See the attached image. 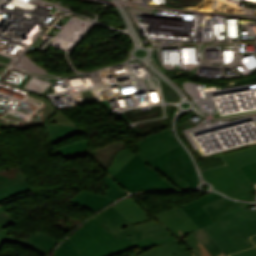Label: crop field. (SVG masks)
Masks as SVG:
<instances>
[{"instance_id": "crop-field-27", "label": "crop field", "mask_w": 256, "mask_h": 256, "mask_svg": "<svg viewBox=\"0 0 256 256\" xmlns=\"http://www.w3.org/2000/svg\"><path fill=\"white\" fill-rule=\"evenodd\" d=\"M241 169L252 184L256 183V163L246 165L241 167Z\"/></svg>"}, {"instance_id": "crop-field-15", "label": "crop field", "mask_w": 256, "mask_h": 256, "mask_svg": "<svg viewBox=\"0 0 256 256\" xmlns=\"http://www.w3.org/2000/svg\"><path fill=\"white\" fill-rule=\"evenodd\" d=\"M148 236H150L152 240L155 241L168 236H172V234L166 229V227L160 224H155L137 231L132 236H130V238L133 242H135Z\"/></svg>"}, {"instance_id": "crop-field-13", "label": "crop field", "mask_w": 256, "mask_h": 256, "mask_svg": "<svg viewBox=\"0 0 256 256\" xmlns=\"http://www.w3.org/2000/svg\"><path fill=\"white\" fill-rule=\"evenodd\" d=\"M113 201V199L81 191L70 202L95 212Z\"/></svg>"}, {"instance_id": "crop-field-14", "label": "crop field", "mask_w": 256, "mask_h": 256, "mask_svg": "<svg viewBox=\"0 0 256 256\" xmlns=\"http://www.w3.org/2000/svg\"><path fill=\"white\" fill-rule=\"evenodd\" d=\"M138 256H193L188 249L177 240L154 247Z\"/></svg>"}, {"instance_id": "crop-field-29", "label": "crop field", "mask_w": 256, "mask_h": 256, "mask_svg": "<svg viewBox=\"0 0 256 256\" xmlns=\"http://www.w3.org/2000/svg\"><path fill=\"white\" fill-rule=\"evenodd\" d=\"M255 240H256V236H254ZM230 256H256V249L255 248H251Z\"/></svg>"}, {"instance_id": "crop-field-10", "label": "crop field", "mask_w": 256, "mask_h": 256, "mask_svg": "<svg viewBox=\"0 0 256 256\" xmlns=\"http://www.w3.org/2000/svg\"><path fill=\"white\" fill-rule=\"evenodd\" d=\"M223 158L226 160L228 168L233 172L248 192L251 193L255 191L256 189L249 182L239 167L256 162V147L223 155Z\"/></svg>"}, {"instance_id": "crop-field-7", "label": "crop field", "mask_w": 256, "mask_h": 256, "mask_svg": "<svg viewBox=\"0 0 256 256\" xmlns=\"http://www.w3.org/2000/svg\"><path fill=\"white\" fill-rule=\"evenodd\" d=\"M29 191L20 166L0 170V201Z\"/></svg>"}, {"instance_id": "crop-field-11", "label": "crop field", "mask_w": 256, "mask_h": 256, "mask_svg": "<svg viewBox=\"0 0 256 256\" xmlns=\"http://www.w3.org/2000/svg\"><path fill=\"white\" fill-rule=\"evenodd\" d=\"M116 208L137 230L157 223L131 197L112 205Z\"/></svg>"}, {"instance_id": "crop-field-8", "label": "crop field", "mask_w": 256, "mask_h": 256, "mask_svg": "<svg viewBox=\"0 0 256 256\" xmlns=\"http://www.w3.org/2000/svg\"><path fill=\"white\" fill-rule=\"evenodd\" d=\"M152 216L157 221L165 224L180 239L185 238L188 233L198 229L196 224L181 208H175L152 214Z\"/></svg>"}, {"instance_id": "crop-field-28", "label": "crop field", "mask_w": 256, "mask_h": 256, "mask_svg": "<svg viewBox=\"0 0 256 256\" xmlns=\"http://www.w3.org/2000/svg\"><path fill=\"white\" fill-rule=\"evenodd\" d=\"M230 240L233 242L238 251L250 248L249 244L245 241L241 234L230 237Z\"/></svg>"}, {"instance_id": "crop-field-21", "label": "crop field", "mask_w": 256, "mask_h": 256, "mask_svg": "<svg viewBox=\"0 0 256 256\" xmlns=\"http://www.w3.org/2000/svg\"><path fill=\"white\" fill-rule=\"evenodd\" d=\"M106 193L103 196L118 199L127 194L110 176L105 177Z\"/></svg>"}, {"instance_id": "crop-field-16", "label": "crop field", "mask_w": 256, "mask_h": 256, "mask_svg": "<svg viewBox=\"0 0 256 256\" xmlns=\"http://www.w3.org/2000/svg\"><path fill=\"white\" fill-rule=\"evenodd\" d=\"M45 126L49 133L51 144L61 141L73 134L83 133L82 129L72 128V127L63 126V125L48 124Z\"/></svg>"}, {"instance_id": "crop-field-23", "label": "crop field", "mask_w": 256, "mask_h": 256, "mask_svg": "<svg viewBox=\"0 0 256 256\" xmlns=\"http://www.w3.org/2000/svg\"><path fill=\"white\" fill-rule=\"evenodd\" d=\"M69 238L57 249L53 256H81Z\"/></svg>"}, {"instance_id": "crop-field-18", "label": "crop field", "mask_w": 256, "mask_h": 256, "mask_svg": "<svg viewBox=\"0 0 256 256\" xmlns=\"http://www.w3.org/2000/svg\"><path fill=\"white\" fill-rule=\"evenodd\" d=\"M11 230H13V229H11L9 227L1 230L0 231V239H2L5 242H13L15 244L21 245V246L26 247L34 252L41 254L43 256H47L48 253L50 252L49 250H47L41 246H38L30 241L8 236V234L10 233Z\"/></svg>"}, {"instance_id": "crop-field-25", "label": "crop field", "mask_w": 256, "mask_h": 256, "mask_svg": "<svg viewBox=\"0 0 256 256\" xmlns=\"http://www.w3.org/2000/svg\"><path fill=\"white\" fill-rule=\"evenodd\" d=\"M197 163H198L199 167H203V168H201V170H203V169L211 168V167H214V166L222 165L225 162L221 158V156H218V157L198 161Z\"/></svg>"}, {"instance_id": "crop-field-9", "label": "crop field", "mask_w": 256, "mask_h": 256, "mask_svg": "<svg viewBox=\"0 0 256 256\" xmlns=\"http://www.w3.org/2000/svg\"><path fill=\"white\" fill-rule=\"evenodd\" d=\"M100 221L116 238L130 236L137 231L117 210L112 206L94 216Z\"/></svg>"}, {"instance_id": "crop-field-1", "label": "crop field", "mask_w": 256, "mask_h": 256, "mask_svg": "<svg viewBox=\"0 0 256 256\" xmlns=\"http://www.w3.org/2000/svg\"><path fill=\"white\" fill-rule=\"evenodd\" d=\"M251 205L253 204L234 202L224 197L202 206L216 223L199 229L180 241L196 256H225L237 252L228 237L239 233L253 247L247 237L256 234V209L248 212L244 209Z\"/></svg>"}, {"instance_id": "crop-field-19", "label": "crop field", "mask_w": 256, "mask_h": 256, "mask_svg": "<svg viewBox=\"0 0 256 256\" xmlns=\"http://www.w3.org/2000/svg\"><path fill=\"white\" fill-rule=\"evenodd\" d=\"M133 155L128 148L119 150L113 158V164L106 170L113 176Z\"/></svg>"}, {"instance_id": "crop-field-24", "label": "crop field", "mask_w": 256, "mask_h": 256, "mask_svg": "<svg viewBox=\"0 0 256 256\" xmlns=\"http://www.w3.org/2000/svg\"><path fill=\"white\" fill-rule=\"evenodd\" d=\"M17 223L9 213L4 209L3 206H0V229H3L11 224ZM3 241L0 240V249L3 245Z\"/></svg>"}, {"instance_id": "crop-field-6", "label": "crop field", "mask_w": 256, "mask_h": 256, "mask_svg": "<svg viewBox=\"0 0 256 256\" xmlns=\"http://www.w3.org/2000/svg\"><path fill=\"white\" fill-rule=\"evenodd\" d=\"M135 145L139 151L137 155L149 162L162 152L179 145V142L170 130H165L151 135Z\"/></svg>"}, {"instance_id": "crop-field-2", "label": "crop field", "mask_w": 256, "mask_h": 256, "mask_svg": "<svg viewBox=\"0 0 256 256\" xmlns=\"http://www.w3.org/2000/svg\"><path fill=\"white\" fill-rule=\"evenodd\" d=\"M69 238L82 256H113L137 246L141 250L132 255L136 256L153 246L176 239L172 236L153 242L148 237L135 243L129 237L118 240L95 218L81 225Z\"/></svg>"}, {"instance_id": "crop-field-5", "label": "crop field", "mask_w": 256, "mask_h": 256, "mask_svg": "<svg viewBox=\"0 0 256 256\" xmlns=\"http://www.w3.org/2000/svg\"><path fill=\"white\" fill-rule=\"evenodd\" d=\"M204 177L218 190L240 200L252 201L249 194L241 183L236 179L226 165L202 171Z\"/></svg>"}, {"instance_id": "crop-field-4", "label": "crop field", "mask_w": 256, "mask_h": 256, "mask_svg": "<svg viewBox=\"0 0 256 256\" xmlns=\"http://www.w3.org/2000/svg\"><path fill=\"white\" fill-rule=\"evenodd\" d=\"M113 177L128 191L132 192L162 177V175L140 157L134 155Z\"/></svg>"}, {"instance_id": "crop-field-3", "label": "crop field", "mask_w": 256, "mask_h": 256, "mask_svg": "<svg viewBox=\"0 0 256 256\" xmlns=\"http://www.w3.org/2000/svg\"><path fill=\"white\" fill-rule=\"evenodd\" d=\"M148 164L180 190H189L199 182L195 167L181 145L159 155Z\"/></svg>"}, {"instance_id": "crop-field-12", "label": "crop field", "mask_w": 256, "mask_h": 256, "mask_svg": "<svg viewBox=\"0 0 256 256\" xmlns=\"http://www.w3.org/2000/svg\"><path fill=\"white\" fill-rule=\"evenodd\" d=\"M219 198H221V196L215 193H210L180 207H182V209L190 216V218L197 224V226L201 228L214 222L201 206Z\"/></svg>"}, {"instance_id": "crop-field-26", "label": "crop field", "mask_w": 256, "mask_h": 256, "mask_svg": "<svg viewBox=\"0 0 256 256\" xmlns=\"http://www.w3.org/2000/svg\"><path fill=\"white\" fill-rule=\"evenodd\" d=\"M49 122L61 123V124H65V125L78 127L61 110Z\"/></svg>"}, {"instance_id": "crop-field-17", "label": "crop field", "mask_w": 256, "mask_h": 256, "mask_svg": "<svg viewBox=\"0 0 256 256\" xmlns=\"http://www.w3.org/2000/svg\"><path fill=\"white\" fill-rule=\"evenodd\" d=\"M66 159L86 155L88 150V140L82 139L69 145L56 149Z\"/></svg>"}, {"instance_id": "crop-field-22", "label": "crop field", "mask_w": 256, "mask_h": 256, "mask_svg": "<svg viewBox=\"0 0 256 256\" xmlns=\"http://www.w3.org/2000/svg\"><path fill=\"white\" fill-rule=\"evenodd\" d=\"M144 190H179V189L176 188L173 184H171L167 179L163 177L137 191H144Z\"/></svg>"}, {"instance_id": "crop-field-30", "label": "crop field", "mask_w": 256, "mask_h": 256, "mask_svg": "<svg viewBox=\"0 0 256 256\" xmlns=\"http://www.w3.org/2000/svg\"><path fill=\"white\" fill-rule=\"evenodd\" d=\"M251 240L254 242V244H256V241L254 240V238L253 237H251ZM256 248V247H255Z\"/></svg>"}, {"instance_id": "crop-field-20", "label": "crop field", "mask_w": 256, "mask_h": 256, "mask_svg": "<svg viewBox=\"0 0 256 256\" xmlns=\"http://www.w3.org/2000/svg\"><path fill=\"white\" fill-rule=\"evenodd\" d=\"M27 239L49 249L50 251H52L54 246L59 242V240L41 232V231L35 233L34 235L30 236Z\"/></svg>"}]
</instances>
